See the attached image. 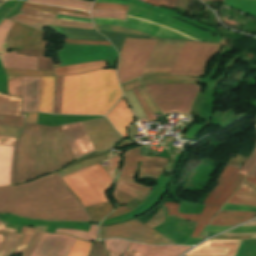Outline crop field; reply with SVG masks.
<instances>
[{
  "mask_svg": "<svg viewBox=\"0 0 256 256\" xmlns=\"http://www.w3.org/2000/svg\"><path fill=\"white\" fill-rule=\"evenodd\" d=\"M74 241L69 235L44 233L32 256H67Z\"/></svg>",
  "mask_w": 256,
  "mask_h": 256,
  "instance_id": "obj_16",
  "label": "crop field"
},
{
  "mask_svg": "<svg viewBox=\"0 0 256 256\" xmlns=\"http://www.w3.org/2000/svg\"><path fill=\"white\" fill-rule=\"evenodd\" d=\"M56 18L92 23L91 19H85V18H75V17H68V16H60V15H57Z\"/></svg>",
  "mask_w": 256,
  "mask_h": 256,
  "instance_id": "obj_60",
  "label": "crop field"
},
{
  "mask_svg": "<svg viewBox=\"0 0 256 256\" xmlns=\"http://www.w3.org/2000/svg\"><path fill=\"white\" fill-rule=\"evenodd\" d=\"M106 64L104 61H95L89 63H82L70 66H64L55 68L56 76L59 75H68V74H77L82 72L93 71L100 68H106Z\"/></svg>",
  "mask_w": 256,
  "mask_h": 256,
  "instance_id": "obj_27",
  "label": "crop field"
},
{
  "mask_svg": "<svg viewBox=\"0 0 256 256\" xmlns=\"http://www.w3.org/2000/svg\"><path fill=\"white\" fill-rule=\"evenodd\" d=\"M0 213L50 221H90L86 209L57 172L0 188Z\"/></svg>",
  "mask_w": 256,
  "mask_h": 256,
  "instance_id": "obj_1",
  "label": "crop field"
},
{
  "mask_svg": "<svg viewBox=\"0 0 256 256\" xmlns=\"http://www.w3.org/2000/svg\"><path fill=\"white\" fill-rule=\"evenodd\" d=\"M63 76L56 77L53 113L60 114Z\"/></svg>",
  "mask_w": 256,
  "mask_h": 256,
  "instance_id": "obj_44",
  "label": "crop field"
},
{
  "mask_svg": "<svg viewBox=\"0 0 256 256\" xmlns=\"http://www.w3.org/2000/svg\"><path fill=\"white\" fill-rule=\"evenodd\" d=\"M92 217V221L100 222L103 217L109 214L113 210V205L100 204L86 208Z\"/></svg>",
  "mask_w": 256,
  "mask_h": 256,
  "instance_id": "obj_36",
  "label": "crop field"
},
{
  "mask_svg": "<svg viewBox=\"0 0 256 256\" xmlns=\"http://www.w3.org/2000/svg\"><path fill=\"white\" fill-rule=\"evenodd\" d=\"M15 140H16L15 138H11V137L1 136V135H0V144H1V145L13 146Z\"/></svg>",
  "mask_w": 256,
  "mask_h": 256,
  "instance_id": "obj_58",
  "label": "crop field"
},
{
  "mask_svg": "<svg viewBox=\"0 0 256 256\" xmlns=\"http://www.w3.org/2000/svg\"><path fill=\"white\" fill-rule=\"evenodd\" d=\"M45 51L46 49L40 51H16V53L38 56L37 70H53L50 58L44 57Z\"/></svg>",
  "mask_w": 256,
  "mask_h": 256,
  "instance_id": "obj_35",
  "label": "crop field"
},
{
  "mask_svg": "<svg viewBox=\"0 0 256 256\" xmlns=\"http://www.w3.org/2000/svg\"><path fill=\"white\" fill-rule=\"evenodd\" d=\"M239 169L226 166L219 177V184L210 192L204 203L221 207L239 187L244 176L237 174Z\"/></svg>",
  "mask_w": 256,
  "mask_h": 256,
  "instance_id": "obj_14",
  "label": "crop field"
},
{
  "mask_svg": "<svg viewBox=\"0 0 256 256\" xmlns=\"http://www.w3.org/2000/svg\"><path fill=\"white\" fill-rule=\"evenodd\" d=\"M222 235H226V236H242V235H251L252 239H256V233H251V234H228V233H224Z\"/></svg>",
  "mask_w": 256,
  "mask_h": 256,
  "instance_id": "obj_65",
  "label": "crop field"
},
{
  "mask_svg": "<svg viewBox=\"0 0 256 256\" xmlns=\"http://www.w3.org/2000/svg\"><path fill=\"white\" fill-rule=\"evenodd\" d=\"M65 43L69 44H95V45H110L108 41H86L77 39L63 38Z\"/></svg>",
  "mask_w": 256,
  "mask_h": 256,
  "instance_id": "obj_51",
  "label": "crop field"
},
{
  "mask_svg": "<svg viewBox=\"0 0 256 256\" xmlns=\"http://www.w3.org/2000/svg\"><path fill=\"white\" fill-rule=\"evenodd\" d=\"M246 180L256 184V176L253 179L246 177Z\"/></svg>",
  "mask_w": 256,
  "mask_h": 256,
  "instance_id": "obj_72",
  "label": "crop field"
},
{
  "mask_svg": "<svg viewBox=\"0 0 256 256\" xmlns=\"http://www.w3.org/2000/svg\"><path fill=\"white\" fill-rule=\"evenodd\" d=\"M0 232L1 233H15L16 230L9 229L3 227L2 223L0 222ZM21 235L18 234H7L5 239L0 245V256H11L15 246L21 239ZM17 247V246H16Z\"/></svg>",
  "mask_w": 256,
  "mask_h": 256,
  "instance_id": "obj_29",
  "label": "crop field"
},
{
  "mask_svg": "<svg viewBox=\"0 0 256 256\" xmlns=\"http://www.w3.org/2000/svg\"><path fill=\"white\" fill-rule=\"evenodd\" d=\"M146 2H148V3H150V4L154 5V6H157L159 0H147Z\"/></svg>",
  "mask_w": 256,
  "mask_h": 256,
  "instance_id": "obj_69",
  "label": "crop field"
},
{
  "mask_svg": "<svg viewBox=\"0 0 256 256\" xmlns=\"http://www.w3.org/2000/svg\"><path fill=\"white\" fill-rule=\"evenodd\" d=\"M74 160L59 126L25 124L14 145L10 184L56 171Z\"/></svg>",
  "mask_w": 256,
  "mask_h": 256,
  "instance_id": "obj_2",
  "label": "crop field"
},
{
  "mask_svg": "<svg viewBox=\"0 0 256 256\" xmlns=\"http://www.w3.org/2000/svg\"><path fill=\"white\" fill-rule=\"evenodd\" d=\"M35 229L23 227L21 233L24 235L19 246L17 249L14 251V254H21L23 249L25 248L26 244L30 240L31 236L33 235Z\"/></svg>",
  "mask_w": 256,
  "mask_h": 256,
  "instance_id": "obj_47",
  "label": "crop field"
},
{
  "mask_svg": "<svg viewBox=\"0 0 256 256\" xmlns=\"http://www.w3.org/2000/svg\"><path fill=\"white\" fill-rule=\"evenodd\" d=\"M36 118L37 113H28L25 123L36 124Z\"/></svg>",
  "mask_w": 256,
  "mask_h": 256,
  "instance_id": "obj_61",
  "label": "crop field"
},
{
  "mask_svg": "<svg viewBox=\"0 0 256 256\" xmlns=\"http://www.w3.org/2000/svg\"><path fill=\"white\" fill-rule=\"evenodd\" d=\"M25 117L0 116V125L22 127Z\"/></svg>",
  "mask_w": 256,
  "mask_h": 256,
  "instance_id": "obj_48",
  "label": "crop field"
},
{
  "mask_svg": "<svg viewBox=\"0 0 256 256\" xmlns=\"http://www.w3.org/2000/svg\"><path fill=\"white\" fill-rule=\"evenodd\" d=\"M115 188L142 201L152 187H144L132 181L118 179Z\"/></svg>",
  "mask_w": 256,
  "mask_h": 256,
  "instance_id": "obj_28",
  "label": "crop field"
},
{
  "mask_svg": "<svg viewBox=\"0 0 256 256\" xmlns=\"http://www.w3.org/2000/svg\"><path fill=\"white\" fill-rule=\"evenodd\" d=\"M57 14H64V15H70V16H76V17L90 18V16H86V15H77V14H69V13H61V12H58Z\"/></svg>",
  "mask_w": 256,
  "mask_h": 256,
  "instance_id": "obj_68",
  "label": "crop field"
},
{
  "mask_svg": "<svg viewBox=\"0 0 256 256\" xmlns=\"http://www.w3.org/2000/svg\"><path fill=\"white\" fill-rule=\"evenodd\" d=\"M175 1H176V0H168V3H167L166 6L173 8V6H174V4H175Z\"/></svg>",
  "mask_w": 256,
  "mask_h": 256,
  "instance_id": "obj_70",
  "label": "crop field"
},
{
  "mask_svg": "<svg viewBox=\"0 0 256 256\" xmlns=\"http://www.w3.org/2000/svg\"><path fill=\"white\" fill-rule=\"evenodd\" d=\"M56 15L40 13L36 11L21 9L20 12L9 19L19 23L27 24L40 30L44 29L47 24L56 26H68L77 28L93 29L92 24L79 23L66 20L55 19Z\"/></svg>",
  "mask_w": 256,
  "mask_h": 256,
  "instance_id": "obj_15",
  "label": "crop field"
},
{
  "mask_svg": "<svg viewBox=\"0 0 256 256\" xmlns=\"http://www.w3.org/2000/svg\"><path fill=\"white\" fill-rule=\"evenodd\" d=\"M141 95L145 99L146 103L148 104L149 108L152 110L153 113L159 112L158 109L151 103L150 99L148 98L147 94L145 93L143 87L138 88Z\"/></svg>",
  "mask_w": 256,
  "mask_h": 256,
  "instance_id": "obj_56",
  "label": "crop field"
},
{
  "mask_svg": "<svg viewBox=\"0 0 256 256\" xmlns=\"http://www.w3.org/2000/svg\"><path fill=\"white\" fill-rule=\"evenodd\" d=\"M256 217V213L237 212V211H220L212 220L210 225L216 226H236L242 222Z\"/></svg>",
  "mask_w": 256,
  "mask_h": 256,
  "instance_id": "obj_24",
  "label": "crop field"
},
{
  "mask_svg": "<svg viewBox=\"0 0 256 256\" xmlns=\"http://www.w3.org/2000/svg\"><path fill=\"white\" fill-rule=\"evenodd\" d=\"M155 42L156 40L125 39L117 70L120 84L141 77Z\"/></svg>",
  "mask_w": 256,
  "mask_h": 256,
  "instance_id": "obj_8",
  "label": "crop field"
},
{
  "mask_svg": "<svg viewBox=\"0 0 256 256\" xmlns=\"http://www.w3.org/2000/svg\"><path fill=\"white\" fill-rule=\"evenodd\" d=\"M256 165V148L254 149L252 155L247 160V162L243 165L239 173L247 175L250 170Z\"/></svg>",
  "mask_w": 256,
  "mask_h": 256,
  "instance_id": "obj_49",
  "label": "crop field"
},
{
  "mask_svg": "<svg viewBox=\"0 0 256 256\" xmlns=\"http://www.w3.org/2000/svg\"><path fill=\"white\" fill-rule=\"evenodd\" d=\"M40 77H23L22 112L38 111Z\"/></svg>",
  "mask_w": 256,
  "mask_h": 256,
  "instance_id": "obj_21",
  "label": "crop field"
},
{
  "mask_svg": "<svg viewBox=\"0 0 256 256\" xmlns=\"http://www.w3.org/2000/svg\"><path fill=\"white\" fill-rule=\"evenodd\" d=\"M91 244L92 243L90 242L76 239L68 256H87L90 251Z\"/></svg>",
  "mask_w": 256,
  "mask_h": 256,
  "instance_id": "obj_42",
  "label": "crop field"
},
{
  "mask_svg": "<svg viewBox=\"0 0 256 256\" xmlns=\"http://www.w3.org/2000/svg\"><path fill=\"white\" fill-rule=\"evenodd\" d=\"M21 99L0 94V115L20 116Z\"/></svg>",
  "mask_w": 256,
  "mask_h": 256,
  "instance_id": "obj_32",
  "label": "crop field"
},
{
  "mask_svg": "<svg viewBox=\"0 0 256 256\" xmlns=\"http://www.w3.org/2000/svg\"><path fill=\"white\" fill-rule=\"evenodd\" d=\"M131 211L130 208H128L127 206H120L117 208V210L115 212H113L110 216H108L106 219H110V218H114L117 217L123 213L129 212ZM105 219V220H106Z\"/></svg>",
  "mask_w": 256,
  "mask_h": 256,
  "instance_id": "obj_57",
  "label": "crop field"
},
{
  "mask_svg": "<svg viewBox=\"0 0 256 256\" xmlns=\"http://www.w3.org/2000/svg\"><path fill=\"white\" fill-rule=\"evenodd\" d=\"M106 117L122 136L129 137L127 126L134 122V117L125 99H122Z\"/></svg>",
  "mask_w": 256,
  "mask_h": 256,
  "instance_id": "obj_20",
  "label": "crop field"
},
{
  "mask_svg": "<svg viewBox=\"0 0 256 256\" xmlns=\"http://www.w3.org/2000/svg\"><path fill=\"white\" fill-rule=\"evenodd\" d=\"M12 25L13 22L6 19H4L0 24V53L7 52V49L5 47V36Z\"/></svg>",
  "mask_w": 256,
  "mask_h": 256,
  "instance_id": "obj_45",
  "label": "crop field"
},
{
  "mask_svg": "<svg viewBox=\"0 0 256 256\" xmlns=\"http://www.w3.org/2000/svg\"><path fill=\"white\" fill-rule=\"evenodd\" d=\"M164 221L162 210H160L151 220H149L145 225L149 227H154Z\"/></svg>",
  "mask_w": 256,
  "mask_h": 256,
  "instance_id": "obj_53",
  "label": "crop field"
},
{
  "mask_svg": "<svg viewBox=\"0 0 256 256\" xmlns=\"http://www.w3.org/2000/svg\"><path fill=\"white\" fill-rule=\"evenodd\" d=\"M249 225H256V220H254V221H252V222H250V223H248V224H245V225H243V226H249Z\"/></svg>",
  "mask_w": 256,
  "mask_h": 256,
  "instance_id": "obj_74",
  "label": "crop field"
},
{
  "mask_svg": "<svg viewBox=\"0 0 256 256\" xmlns=\"http://www.w3.org/2000/svg\"><path fill=\"white\" fill-rule=\"evenodd\" d=\"M241 240H209L185 256H217L226 255L229 248L212 247V243H237ZM241 242L237 244H213V246L231 247L227 256H236Z\"/></svg>",
  "mask_w": 256,
  "mask_h": 256,
  "instance_id": "obj_19",
  "label": "crop field"
},
{
  "mask_svg": "<svg viewBox=\"0 0 256 256\" xmlns=\"http://www.w3.org/2000/svg\"><path fill=\"white\" fill-rule=\"evenodd\" d=\"M102 249H103L102 244L100 243V241H97L92 250L91 256H100L102 253Z\"/></svg>",
  "mask_w": 256,
  "mask_h": 256,
  "instance_id": "obj_59",
  "label": "crop field"
},
{
  "mask_svg": "<svg viewBox=\"0 0 256 256\" xmlns=\"http://www.w3.org/2000/svg\"><path fill=\"white\" fill-rule=\"evenodd\" d=\"M60 127L75 159L94 152L81 122L60 125Z\"/></svg>",
  "mask_w": 256,
  "mask_h": 256,
  "instance_id": "obj_17",
  "label": "crop field"
},
{
  "mask_svg": "<svg viewBox=\"0 0 256 256\" xmlns=\"http://www.w3.org/2000/svg\"><path fill=\"white\" fill-rule=\"evenodd\" d=\"M184 41L158 40L153 48L143 75H168Z\"/></svg>",
  "mask_w": 256,
  "mask_h": 256,
  "instance_id": "obj_10",
  "label": "crop field"
},
{
  "mask_svg": "<svg viewBox=\"0 0 256 256\" xmlns=\"http://www.w3.org/2000/svg\"><path fill=\"white\" fill-rule=\"evenodd\" d=\"M243 184H245L246 186H248L249 188H251L252 190H254L256 192V185H254L246 180L244 181Z\"/></svg>",
  "mask_w": 256,
  "mask_h": 256,
  "instance_id": "obj_67",
  "label": "crop field"
},
{
  "mask_svg": "<svg viewBox=\"0 0 256 256\" xmlns=\"http://www.w3.org/2000/svg\"><path fill=\"white\" fill-rule=\"evenodd\" d=\"M202 1H208V0H202Z\"/></svg>",
  "mask_w": 256,
  "mask_h": 256,
  "instance_id": "obj_78",
  "label": "crop field"
},
{
  "mask_svg": "<svg viewBox=\"0 0 256 256\" xmlns=\"http://www.w3.org/2000/svg\"><path fill=\"white\" fill-rule=\"evenodd\" d=\"M21 8L43 11V12L54 13V14H56L57 11H61V12H69V13H78V14L88 15L87 13L82 12V11H75V10H70V9L55 8V7H49V6H43V5H36V4H30V3H27V2H24Z\"/></svg>",
  "mask_w": 256,
  "mask_h": 256,
  "instance_id": "obj_40",
  "label": "crop field"
},
{
  "mask_svg": "<svg viewBox=\"0 0 256 256\" xmlns=\"http://www.w3.org/2000/svg\"><path fill=\"white\" fill-rule=\"evenodd\" d=\"M127 16L169 28L183 35L191 37L195 40L216 43L221 39V37L211 36V34L207 32L199 31L196 28L189 26L185 23H182L174 18H169L163 14L149 12L137 7L129 6ZM128 17L126 21L115 20V19H101V18H94V19L96 23L126 26V27H130V28H134V29H138V30L150 33L152 35H155L161 38L192 40L186 36L178 34L169 29H166L151 23L128 18ZM94 19L92 18L93 22H94ZM95 22H94V26L96 30L136 34V35L148 36L155 39H161L141 31H137V30H133L125 27H119V26L100 25V24H95ZM225 41L226 39L223 38L218 43L223 44Z\"/></svg>",
  "mask_w": 256,
  "mask_h": 256,
  "instance_id": "obj_4",
  "label": "crop field"
},
{
  "mask_svg": "<svg viewBox=\"0 0 256 256\" xmlns=\"http://www.w3.org/2000/svg\"><path fill=\"white\" fill-rule=\"evenodd\" d=\"M142 1H144V2H145L146 0H142Z\"/></svg>",
  "mask_w": 256,
  "mask_h": 256,
  "instance_id": "obj_79",
  "label": "crop field"
},
{
  "mask_svg": "<svg viewBox=\"0 0 256 256\" xmlns=\"http://www.w3.org/2000/svg\"><path fill=\"white\" fill-rule=\"evenodd\" d=\"M166 2H167V0H160L158 6H165Z\"/></svg>",
  "mask_w": 256,
  "mask_h": 256,
  "instance_id": "obj_73",
  "label": "crop field"
},
{
  "mask_svg": "<svg viewBox=\"0 0 256 256\" xmlns=\"http://www.w3.org/2000/svg\"><path fill=\"white\" fill-rule=\"evenodd\" d=\"M82 123L95 151H107L120 139L105 118Z\"/></svg>",
  "mask_w": 256,
  "mask_h": 256,
  "instance_id": "obj_13",
  "label": "crop field"
},
{
  "mask_svg": "<svg viewBox=\"0 0 256 256\" xmlns=\"http://www.w3.org/2000/svg\"><path fill=\"white\" fill-rule=\"evenodd\" d=\"M33 3H43L56 5L61 7L73 8V9H83L86 12L90 11L93 2H85L81 0H27Z\"/></svg>",
  "mask_w": 256,
  "mask_h": 256,
  "instance_id": "obj_30",
  "label": "crop field"
},
{
  "mask_svg": "<svg viewBox=\"0 0 256 256\" xmlns=\"http://www.w3.org/2000/svg\"><path fill=\"white\" fill-rule=\"evenodd\" d=\"M4 237H5V236H4ZM2 238H3V236H2V235H0V242H1Z\"/></svg>",
  "mask_w": 256,
  "mask_h": 256,
  "instance_id": "obj_76",
  "label": "crop field"
},
{
  "mask_svg": "<svg viewBox=\"0 0 256 256\" xmlns=\"http://www.w3.org/2000/svg\"><path fill=\"white\" fill-rule=\"evenodd\" d=\"M140 223L133 220L109 227L100 226L99 237L100 239L119 237L145 244H176Z\"/></svg>",
  "mask_w": 256,
  "mask_h": 256,
  "instance_id": "obj_9",
  "label": "crop field"
},
{
  "mask_svg": "<svg viewBox=\"0 0 256 256\" xmlns=\"http://www.w3.org/2000/svg\"><path fill=\"white\" fill-rule=\"evenodd\" d=\"M4 68L36 70L37 58L15 54L14 51L0 54Z\"/></svg>",
  "mask_w": 256,
  "mask_h": 256,
  "instance_id": "obj_23",
  "label": "crop field"
},
{
  "mask_svg": "<svg viewBox=\"0 0 256 256\" xmlns=\"http://www.w3.org/2000/svg\"><path fill=\"white\" fill-rule=\"evenodd\" d=\"M13 147L0 146V186L9 184Z\"/></svg>",
  "mask_w": 256,
  "mask_h": 256,
  "instance_id": "obj_26",
  "label": "crop field"
},
{
  "mask_svg": "<svg viewBox=\"0 0 256 256\" xmlns=\"http://www.w3.org/2000/svg\"><path fill=\"white\" fill-rule=\"evenodd\" d=\"M103 242L105 244L107 256L110 251L121 256V254L126 250L128 245L130 244V242L128 241H122L119 239L105 240Z\"/></svg>",
  "mask_w": 256,
  "mask_h": 256,
  "instance_id": "obj_39",
  "label": "crop field"
},
{
  "mask_svg": "<svg viewBox=\"0 0 256 256\" xmlns=\"http://www.w3.org/2000/svg\"><path fill=\"white\" fill-rule=\"evenodd\" d=\"M113 196L115 198V200L118 202V204H124V203H127L129 200H131L132 198L115 190L114 189V193H113Z\"/></svg>",
  "mask_w": 256,
  "mask_h": 256,
  "instance_id": "obj_54",
  "label": "crop field"
},
{
  "mask_svg": "<svg viewBox=\"0 0 256 256\" xmlns=\"http://www.w3.org/2000/svg\"><path fill=\"white\" fill-rule=\"evenodd\" d=\"M144 87L163 114L189 113L200 89V85L193 84H150Z\"/></svg>",
  "mask_w": 256,
  "mask_h": 256,
  "instance_id": "obj_6",
  "label": "crop field"
},
{
  "mask_svg": "<svg viewBox=\"0 0 256 256\" xmlns=\"http://www.w3.org/2000/svg\"><path fill=\"white\" fill-rule=\"evenodd\" d=\"M136 134H138V131H137V125H136V123L134 124V125H132L131 127H130V135H136ZM134 138V137H133Z\"/></svg>",
  "mask_w": 256,
  "mask_h": 256,
  "instance_id": "obj_66",
  "label": "crop field"
},
{
  "mask_svg": "<svg viewBox=\"0 0 256 256\" xmlns=\"http://www.w3.org/2000/svg\"><path fill=\"white\" fill-rule=\"evenodd\" d=\"M163 205L166 207L168 216L173 215L183 219L198 222L193 234L191 235V237L194 238H198L200 232L204 229L205 225L209 224L213 214L220 209L217 207L205 206L200 215H184L178 212L180 206V204L178 203L165 202Z\"/></svg>",
  "mask_w": 256,
  "mask_h": 256,
  "instance_id": "obj_18",
  "label": "crop field"
},
{
  "mask_svg": "<svg viewBox=\"0 0 256 256\" xmlns=\"http://www.w3.org/2000/svg\"><path fill=\"white\" fill-rule=\"evenodd\" d=\"M43 32L15 23L6 36L8 50H39L46 48L47 41H42Z\"/></svg>",
  "mask_w": 256,
  "mask_h": 256,
  "instance_id": "obj_12",
  "label": "crop field"
},
{
  "mask_svg": "<svg viewBox=\"0 0 256 256\" xmlns=\"http://www.w3.org/2000/svg\"><path fill=\"white\" fill-rule=\"evenodd\" d=\"M256 147V146H255Z\"/></svg>",
  "mask_w": 256,
  "mask_h": 256,
  "instance_id": "obj_80",
  "label": "crop field"
},
{
  "mask_svg": "<svg viewBox=\"0 0 256 256\" xmlns=\"http://www.w3.org/2000/svg\"><path fill=\"white\" fill-rule=\"evenodd\" d=\"M108 158V154L104 155V156H101V157H97V158H94V159H90V160H86V161H81L75 165H72L62 171H59V174L61 175V177L63 176H66L68 174H71V173H74L80 169H83L89 165H92L94 163H97V162H100L102 160H105Z\"/></svg>",
  "mask_w": 256,
  "mask_h": 256,
  "instance_id": "obj_38",
  "label": "crop field"
},
{
  "mask_svg": "<svg viewBox=\"0 0 256 256\" xmlns=\"http://www.w3.org/2000/svg\"><path fill=\"white\" fill-rule=\"evenodd\" d=\"M228 203L256 206V193L242 184Z\"/></svg>",
  "mask_w": 256,
  "mask_h": 256,
  "instance_id": "obj_33",
  "label": "crop field"
},
{
  "mask_svg": "<svg viewBox=\"0 0 256 256\" xmlns=\"http://www.w3.org/2000/svg\"><path fill=\"white\" fill-rule=\"evenodd\" d=\"M133 91H134L137 99L139 100V102H140V104H141V106H142V108H143V110H144V112H145V114H146V116L148 118V121L156 120L155 117L152 115L150 109L148 108V106L144 102L143 98L141 97L138 89L136 88Z\"/></svg>",
  "mask_w": 256,
  "mask_h": 256,
  "instance_id": "obj_50",
  "label": "crop field"
},
{
  "mask_svg": "<svg viewBox=\"0 0 256 256\" xmlns=\"http://www.w3.org/2000/svg\"><path fill=\"white\" fill-rule=\"evenodd\" d=\"M145 256H178L190 247L183 246H147L132 243L129 247Z\"/></svg>",
  "mask_w": 256,
  "mask_h": 256,
  "instance_id": "obj_22",
  "label": "crop field"
},
{
  "mask_svg": "<svg viewBox=\"0 0 256 256\" xmlns=\"http://www.w3.org/2000/svg\"><path fill=\"white\" fill-rule=\"evenodd\" d=\"M223 5L256 18V0H224Z\"/></svg>",
  "mask_w": 256,
  "mask_h": 256,
  "instance_id": "obj_31",
  "label": "crop field"
},
{
  "mask_svg": "<svg viewBox=\"0 0 256 256\" xmlns=\"http://www.w3.org/2000/svg\"><path fill=\"white\" fill-rule=\"evenodd\" d=\"M21 128L9 127V126H0V134L7 135L17 138Z\"/></svg>",
  "mask_w": 256,
  "mask_h": 256,
  "instance_id": "obj_52",
  "label": "crop field"
},
{
  "mask_svg": "<svg viewBox=\"0 0 256 256\" xmlns=\"http://www.w3.org/2000/svg\"><path fill=\"white\" fill-rule=\"evenodd\" d=\"M7 76H54L53 71L4 69Z\"/></svg>",
  "mask_w": 256,
  "mask_h": 256,
  "instance_id": "obj_41",
  "label": "crop field"
},
{
  "mask_svg": "<svg viewBox=\"0 0 256 256\" xmlns=\"http://www.w3.org/2000/svg\"><path fill=\"white\" fill-rule=\"evenodd\" d=\"M109 256H117V255L110 253ZM123 256H143V255L128 248V250L125 252V254Z\"/></svg>",
  "mask_w": 256,
  "mask_h": 256,
  "instance_id": "obj_63",
  "label": "crop field"
},
{
  "mask_svg": "<svg viewBox=\"0 0 256 256\" xmlns=\"http://www.w3.org/2000/svg\"><path fill=\"white\" fill-rule=\"evenodd\" d=\"M9 10H11V8H9ZM9 10H8V11H9ZM8 11H7V12H8ZM7 12H2V13H0V18H1L3 15H5Z\"/></svg>",
  "mask_w": 256,
  "mask_h": 256,
  "instance_id": "obj_75",
  "label": "crop field"
},
{
  "mask_svg": "<svg viewBox=\"0 0 256 256\" xmlns=\"http://www.w3.org/2000/svg\"><path fill=\"white\" fill-rule=\"evenodd\" d=\"M54 77H41L39 111L51 113Z\"/></svg>",
  "mask_w": 256,
  "mask_h": 256,
  "instance_id": "obj_25",
  "label": "crop field"
},
{
  "mask_svg": "<svg viewBox=\"0 0 256 256\" xmlns=\"http://www.w3.org/2000/svg\"><path fill=\"white\" fill-rule=\"evenodd\" d=\"M127 6L95 3L93 9H121L126 10Z\"/></svg>",
  "mask_w": 256,
  "mask_h": 256,
  "instance_id": "obj_55",
  "label": "crop field"
},
{
  "mask_svg": "<svg viewBox=\"0 0 256 256\" xmlns=\"http://www.w3.org/2000/svg\"><path fill=\"white\" fill-rule=\"evenodd\" d=\"M96 228H97V225H91L88 232L75 230V229H56V232L66 233V234L77 236L85 240L92 241V240H97Z\"/></svg>",
  "mask_w": 256,
  "mask_h": 256,
  "instance_id": "obj_37",
  "label": "crop field"
},
{
  "mask_svg": "<svg viewBox=\"0 0 256 256\" xmlns=\"http://www.w3.org/2000/svg\"><path fill=\"white\" fill-rule=\"evenodd\" d=\"M220 47L219 44L186 41L170 75L201 77Z\"/></svg>",
  "mask_w": 256,
  "mask_h": 256,
  "instance_id": "obj_7",
  "label": "crop field"
},
{
  "mask_svg": "<svg viewBox=\"0 0 256 256\" xmlns=\"http://www.w3.org/2000/svg\"><path fill=\"white\" fill-rule=\"evenodd\" d=\"M9 93L21 97L22 77H7Z\"/></svg>",
  "mask_w": 256,
  "mask_h": 256,
  "instance_id": "obj_46",
  "label": "crop field"
},
{
  "mask_svg": "<svg viewBox=\"0 0 256 256\" xmlns=\"http://www.w3.org/2000/svg\"><path fill=\"white\" fill-rule=\"evenodd\" d=\"M101 256H105L104 250H103V253H102V255H101Z\"/></svg>",
  "mask_w": 256,
  "mask_h": 256,
  "instance_id": "obj_77",
  "label": "crop field"
},
{
  "mask_svg": "<svg viewBox=\"0 0 256 256\" xmlns=\"http://www.w3.org/2000/svg\"><path fill=\"white\" fill-rule=\"evenodd\" d=\"M119 161H120V157L117 156V157H114V158L109 159V161H107V162H108V164H109L111 167H113L114 169H116V167H117Z\"/></svg>",
  "mask_w": 256,
  "mask_h": 256,
  "instance_id": "obj_62",
  "label": "crop field"
},
{
  "mask_svg": "<svg viewBox=\"0 0 256 256\" xmlns=\"http://www.w3.org/2000/svg\"><path fill=\"white\" fill-rule=\"evenodd\" d=\"M119 178L135 181V171H137L138 161H141L140 176L157 179L161 174L167 160L139 156V147L128 150L125 154Z\"/></svg>",
  "mask_w": 256,
  "mask_h": 256,
  "instance_id": "obj_11",
  "label": "crop field"
},
{
  "mask_svg": "<svg viewBox=\"0 0 256 256\" xmlns=\"http://www.w3.org/2000/svg\"><path fill=\"white\" fill-rule=\"evenodd\" d=\"M97 2L119 3V4H125V5H127V4H128V2H125V1H119V0H97Z\"/></svg>",
  "mask_w": 256,
  "mask_h": 256,
  "instance_id": "obj_64",
  "label": "crop field"
},
{
  "mask_svg": "<svg viewBox=\"0 0 256 256\" xmlns=\"http://www.w3.org/2000/svg\"><path fill=\"white\" fill-rule=\"evenodd\" d=\"M121 94L115 70L64 76L61 114L105 115Z\"/></svg>",
  "mask_w": 256,
  "mask_h": 256,
  "instance_id": "obj_3",
  "label": "crop field"
},
{
  "mask_svg": "<svg viewBox=\"0 0 256 256\" xmlns=\"http://www.w3.org/2000/svg\"><path fill=\"white\" fill-rule=\"evenodd\" d=\"M256 175V167L252 170V172L248 175V177L253 178Z\"/></svg>",
  "mask_w": 256,
  "mask_h": 256,
  "instance_id": "obj_71",
  "label": "crop field"
},
{
  "mask_svg": "<svg viewBox=\"0 0 256 256\" xmlns=\"http://www.w3.org/2000/svg\"><path fill=\"white\" fill-rule=\"evenodd\" d=\"M143 84L149 83H198L197 78L174 77V76H148L142 78Z\"/></svg>",
  "mask_w": 256,
  "mask_h": 256,
  "instance_id": "obj_34",
  "label": "crop field"
},
{
  "mask_svg": "<svg viewBox=\"0 0 256 256\" xmlns=\"http://www.w3.org/2000/svg\"><path fill=\"white\" fill-rule=\"evenodd\" d=\"M63 180L84 207L109 202L104 192L112 181L99 163L63 177Z\"/></svg>",
  "mask_w": 256,
  "mask_h": 256,
  "instance_id": "obj_5",
  "label": "crop field"
},
{
  "mask_svg": "<svg viewBox=\"0 0 256 256\" xmlns=\"http://www.w3.org/2000/svg\"><path fill=\"white\" fill-rule=\"evenodd\" d=\"M125 13L126 11L117 10H92L91 17L116 18L124 20Z\"/></svg>",
  "mask_w": 256,
  "mask_h": 256,
  "instance_id": "obj_43",
  "label": "crop field"
}]
</instances>
